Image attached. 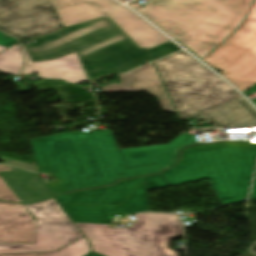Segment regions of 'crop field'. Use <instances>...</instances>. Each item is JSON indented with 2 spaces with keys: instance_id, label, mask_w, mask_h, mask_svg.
Here are the masks:
<instances>
[{
  "instance_id": "1",
  "label": "crop field",
  "mask_w": 256,
  "mask_h": 256,
  "mask_svg": "<svg viewBox=\"0 0 256 256\" xmlns=\"http://www.w3.org/2000/svg\"><path fill=\"white\" fill-rule=\"evenodd\" d=\"M29 140L40 173H52L58 181L48 184L56 195L163 170L157 164L126 168L111 130Z\"/></svg>"
},
{
  "instance_id": "2",
  "label": "crop field",
  "mask_w": 256,
  "mask_h": 256,
  "mask_svg": "<svg viewBox=\"0 0 256 256\" xmlns=\"http://www.w3.org/2000/svg\"><path fill=\"white\" fill-rule=\"evenodd\" d=\"M32 40L26 49L33 62L77 52L91 84L181 49L169 42L141 50L108 17Z\"/></svg>"
},
{
  "instance_id": "3",
  "label": "crop field",
  "mask_w": 256,
  "mask_h": 256,
  "mask_svg": "<svg viewBox=\"0 0 256 256\" xmlns=\"http://www.w3.org/2000/svg\"><path fill=\"white\" fill-rule=\"evenodd\" d=\"M254 0H148L136 9L168 35L205 57L234 31Z\"/></svg>"
},
{
  "instance_id": "4",
  "label": "crop field",
  "mask_w": 256,
  "mask_h": 256,
  "mask_svg": "<svg viewBox=\"0 0 256 256\" xmlns=\"http://www.w3.org/2000/svg\"><path fill=\"white\" fill-rule=\"evenodd\" d=\"M182 155L174 168L163 172L170 186L209 178L221 205L247 198L256 162V145L194 146Z\"/></svg>"
},
{
  "instance_id": "5",
  "label": "crop field",
  "mask_w": 256,
  "mask_h": 256,
  "mask_svg": "<svg viewBox=\"0 0 256 256\" xmlns=\"http://www.w3.org/2000/svg\"><path fill=\"white\" fill-rule=\"evenodd\" d=\"M129 229L109 225L77 224L94 251L104 256H179L170 250V240L182 235L174 214L140 213Z\"/></svg>"
},
{
  "instance_id": "6",
  "label": "crop field",
  "mask_w": 256,
  "mask_h": 256,
  "mask_svg": "<svg viewBox=\"0 0 256 256\" xmlns=\"http://www.w3.org/2000/svg\"><path fill=\"white\" fill-rule=\"evenodd\" d=\"M181 120L241 97L220 78L181 51L155 61Z\"/></svg>"
},
{
  "instance_id": "7",
  "label": "crop field",
  "mask_w": 256,
  "mask_h": 256,
  "mask_svg": "<svg viewBox=\"0 0 256 256\" xmlns=\"http://www.w3.org/2000/svg\"><path fill=\"white\" fill-rule=\"evenodd\" d=\"M203 60L242 93L256 84V2L245 23Z\"/></svg>"
},
{
  "instance_id": "8",
  "label": "crop field",
  "mask_w": 256,
  "mask_h": 256,
  "mask_svg": "<svg viewBox=\"0 0 256 256\" xmlns=\"http://www.w3.org/2000/svg\"><path fill=\"white\" fill-rule=\"evenodd\" d=\"M64 26L109 16L140 47L152 48L168 39L112 0H53Z\"/></svg>"
},
{
  "instance_id": "9",
  "label": "crop field",
  "mask_w": 256,
  "mask_h": 256,
  "mask_svg": "<svg viewBox=\"0 0 256 256\" xmlns=\"http://www.w3.org/2000/svg\"><path fill=\"white\" fill-rule=\"evenodd\" d=\"M63 27L52 0H0V30L19 40Z\"/></svg>"
},
{
  "instance_id": "10",
  "label": "crop field",
  "mask_w": 256,
  "mask_h": 256,
  "mask_svg": "<svg viewBox=\"0 0 256 256\" xmlns=\"http://www.w3.org/2000/svg\"><path fill=\"white\" fill-rule=\"evenodd\" d=\"M81 236L68 217L37 219L34 244H0V254L55 251Z\"/></svg>"
},
{
  "instance_id": "11",
  "label": "crop field",
  "mask_w": 256,
  "mask_h": 256,
  "mask_svg": "<svg viewBox=\"0 0 256 256\" xmlns=\"http://www.w3.org/2000/svg\"><path fill=\"white\" fill-rule=\"evenodd\" d=\"M74 222L109 223V213H136L147 210L145 181L121 205L62 204Z\"/></svg>"
},
{
  "instance_id": "12",
  "label": "crop field",
  "mask_w": 256,
  "mask_h": 256,
  "mask_svg": "<svg viewBox=\"0 0 256 256\" xmlns=\"http://www.w3.org/2000/svg\"><path fill=\"white\" fill-rule=\"evenodd\" d=\"M34 230L23 205L0 202V243H33Z\"/></svg>"
},
{
  "instance_id": "13",
  "label": "crop field",
  "mask_w": 256,
  "mask_h": 256,
  "mask_svg": "<svg viewBox=\"0 0 256 256\" xmlns=\"http://www.w3.org/2000/svg\"><path fill=\"white\" fill-rule=\"evenodd\" d=\"M120 78L122 84L102 87V92L146 91L159 98L165 112H175L152 63L129 73L122 74Z\"/></svg>"
},
{
  "instance_id": "14",
  "label": "crop field",
  "mask_w": 256,
  "mask_h": 256,
  "mask_svg": "<svg viewBox=\"0 0 256 256\" xmlns=\"http://www.w3.org/2000/svg\"><path fill=\"white\" fill-rule=\"evenodd\" d=\"M142 177L123 180L114 186L75 191L57 197L60 203L121 205L144 181Z\"/></svg>"
},
{
  "instance_id": "15",
  "label": "crop field",
  "mask_w": 256,
  "mask_h": 256,
  "mask_svg": "<svg viewBox=\"0 0 256 256\" xmlns=\"http://www.w3.org/2000/svg\"><path fill=\"white\" fill-rule=\"evenodd\" d=\"M27 62L22 74L37 72L41 79H61L70 83L87 81L85 70L76 53L56 59L32 63L24 46Z\"/></svg>"
},
{
  "instance_id": "16",
  "label": "crop field",
  "mask_w": 256,
  "mask_h": 256,
  "mask_svg": "<svg viewBox=\"0 0 256 256\" xmlns=\"http://www.w3.org/2000/svg\"><path fill=\"white\" fill-rule=\"evenodd\" d=\"M192 144L186 134H181L169 144L120 150L127 167L158 163L164 169L175 162L168 160L170 154H177L180 148Z\"/></svg>"
},
{
  "instance_id": "17",
  "label": "crop field",
  "mask_w": 256,
  "mask_h": 256,
  "mask_svg": "<svg viewBox=\"0 0 256 256\" xmlns=\"http://www.w3.org/2000/svg\"><path fill=\"white\" fill-rule=\"evenodd\" d=\"M0 175L23 203H35L55 196L37 174L15 168L12 173L4 171Z\"/></svg>"
},
{
  "instance_id": "18",
  "label": "crop field",
  "mask_w": 256,
  "mask_h": 256,
  "mask_svg": "<svg viewBox=\"0 0 256 256\" xmlns=\"http://www.w3.org/2000/svg\"><path fill=\"white\" fill-rule=\"evenodd\" d=\"M254 114H256V110L241 97L191 118H196L222 128Z\"/></svg>"
},
{
  "instance_id": "19",
  "label": "crop field",
  "mask_w": 256,
  "mask_h": 256,
  "mask_svg": "<svg viewBox=\"0 0 256 256\" xmlns=\"http://www.w3.org/2000/svg\"><path fill=\"white\" fill-rule=\"evenodd\" d=\"M24 63L23 55L15 45L0 54V72L18 76Z\"/></svg>"
},
{
  "instance_id": "20",
  "label": "crop field",
  "mask_w": 256,
  "mask_h": 256,
  "mask_svg": "<svg viewBox=\"0 0 256 256\" xmlns=\"http://www.w3.org/2000/svg\"><path fill=\"white\" fill-rule=\"evenodd\" d=\"M26 206L35 218L66 216L61 211L54 199H50L39 204Z\"/></svg>"
},
{
  "instance_id": "21",
  "label": "crop field",
  "mask_w": 256,
  "mask_h": 256,
  "mask_svg": "<svg viewBox=\"0 0 256 256\" xmlns=\"http://www.w3.org/2000/svg\"><path fill=\"white\" fill-rule=\"evenodd\" d=\"M90 251L89 242L84 237L56 253L42 254L41 256H84Z\"/></svg>"
},
{
  "instance_id": "22",
  "label": "crop field",
  "mask_w": 256,
  "mask_h": 256,
  "mask_svg": "<svg viewBox=\"0 0 256 256\" xmlns=\"http://www.w3.org/2000/svg\"><path fill=\"white\" fill-rule=\"evenodd\" d=\"M144 178L146 179L147 190L168 186L163 174L147 176Z\"/></svg>"
},
{
  "instance_id": "23",
  "label": "crop field",
  "mask_w": 256,
  "mask_h": 256,
  "mask_svg": "<svg viewBox=\"0 0 256 256\" xmlns=\"http://www.w3.org/2000/svg\"><path fill=\"white\" fill-rule=\"evenodd\" d=\"M15 195L5 181L0 177V200L22 203Z\"/></svg>"
},
{
  "instance_id": "24",
  "label": "crop field",
  "mask_w": 256,
  "mask_h": 256,
  "mask_svg": "<svg viewBox=\"0 0 256 256\" xmlns=\"http://www.w3.org/2000/svg\"><path fill=\"white\" fill-rule=\"evenodd\" d=\"M0 157L2 158V160H3L6 164L15 165V166H18V167H22V168H25V169H28V170H32V171L38 172V168H37L36 165H32V164H28V163L16 161V160L9 159V158L2 157V156H0ZM38 173H39V172H38Z\"/></svg>"
},
{
  "instance_id": "25",
  "label": "crop field",
  "mask_w": 256,
  "mask_h": 256,
  "mask_svg": "<svg viewBox=\"0 0 256 256\" xmlns=\"http://www.w3.org/2000/svg\"><path fill=\"white\" fill-rule=\"evenodd\" d=\"M16 40L0 32V45L11 46Z\"/></svg>"
},
{
  "instance_id": "26",
  "label": "crop field",
  "mask_w": 256,
  "mask_h": 256,
  "mask_svg": "<svg viewBox=\"0 0 256 256\" xmlns=\"http://www.w3.org/2000/svg\"><path fill=\"white\" fill-rule=\"evenodd\" d=\"M251 125H256V115L228 127L251 126Z\"/></svg>"
},
{
  "instance_id": "27",
  "label": "crop field",
  "mask_w": 256,
  "mask_h": 256,
  "mask_svg": "<svg viewBox=\"0 0 256 256\" xmlns=\"http://www.w3.org/2000/svg\"><path fill=\"white\" fill-rule=\"evenodd\" d=\"M249 199H256V176Z\"/></svg>"
},
{
  "instance_id": "28",
  "label": "crop field",
  "mask_w": 256,
  "mask_h": 256,
  "mask_svg": "<svg viewBox=\"0 0 256 256\" xmlns=\"http://www.w3.org/2000/svg\"><path fill=\"white\" fill-rule=\"evenodd\" d=\"M14 167L9 166V165H0V171H4V170H8L9 172H11L13 170Z\"/></svg>"
},
{
  "instance_id": "29",
  "label": "crop field",
  "mask_w": 256,
  "mask_h": 256,
  "mask_svg": "<svg viewBox=\"0 0 256 256\" xmlns=\"http://www.w3.org/2000/svg\"><path fill=\"white\" fill-rule=\"evenodd\" d=\"M4 256H40V254H29V255H4Z\"/></svg>"
},
{
  "instance_id": "30",
  "label": "crop field",
  "mask_w": 256,
  "mask_h": 256,
  "mask_svg": "<svg viewBox=\"0 0 256 256\" xmlns=\"http://www.w3.org/2000/svg\"><path fill=\"white\" fill-rule=\"evenodd\" d=\"M221 85H223L225 88H227L228 90L233 89L232 87H230L228 84H226L225 82L220 83Z\"/></svg>"
},
{
  "instance_id": "31",
  "label": "crop field",
  "mask_w": 256,
  "mask_h": 256,
  "mask_svg": "<svg viewBox=\"0 0 256 256\" xmlns=\"http://www.w3.org/2000/svg\"><path fill=\"white\" fill-rule=\"evenodd\" d=\"M168 159H170L172 161H176L177 155H170V157Z\"/></svg>"
},
{
  "instance_id": "32",
  "label": "crop field",
  "mask_w": 256,
  "mask_h": 256,
  "mask_svg": "<svg viewBox=\"0 0 256 256\" xmlns=\"http://www.w3.org/2000/svg\"><path fill=\"white\" fill-rule=\"evenodd\" d=\"M87 256H100V255L91 252V253H90L89 255H87Z\"/></svg>"
},
{
  "instance_id": "33",
  "label": "crop field",
  "mask_w": 256,
  "mask_h": 256,
  "mask_svg": "<svg viewBox=\"0 0 256 256\" xmlns=\"http://www.w3.org/2000/svg\"><path fill=\"white\" fill-rule=\"evenodd\" d=\"M189 137H190L192 143H195L196 140H195L194 136H189Z\"/></svg>"
},
{
  "instance_id": "34",
  "label": "crop field",
  "mask_w": 256,
  "mask_h": 256,
  "mask_svg": "<svg viewBox=\"0 0 256 256\" xmlns=\"http://www.w3.org/2000/svg\"><path fill=\"white\" fill-rule=\"evenodd\" d=\"M7 47L0 46V52L6 49Z\"/></svg>"
},
{
  "instance_id": "35",
  "label": "crop field",
  "mask_w": 256,
  "mask_h": 256,
  "mask_svg": "<svg viewBox=\"0 0 256 256\" xmlns=\"http://www.w3.org/2000/svg\"><path fill=\"white\" fill-rule=\"evenodd\" d=\"M119 1H121V2H125V1H123V0H119Z\"/></svg>"
},
{
  "instance_id": "36",
  "label": "crop field",
  "mask_w": 256,
  "mask_h": 256,
  "mask_svg": "<svg viewBox=\"0 0 256 256\" xmlns=\"http://www.w3.org/2000/svg\"><path fill=\"white\" fill-rule=\"evenodd\" d=\"M254 103L256 104V101Z\"/></svg>"
}]
</instances>
